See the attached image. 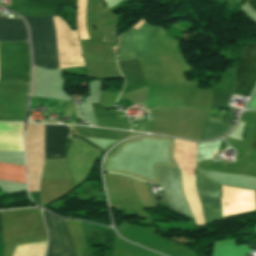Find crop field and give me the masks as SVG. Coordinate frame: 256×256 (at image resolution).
<instances>
[{"label": "crop field", "instance_id": "obj_1", "mask_svg": "<svg viewBox=\"0 0 256 256\" xmlns=\"http://www.w3.org/2000/svg\"><path fill=\"white\" fill-rule=\"evenodd\" d=\"M29 26L33 64L46 69H63L68 66H84L77 35L69 31L65 22L53 17L24 18Z\"/></svg>", "mask_w": 256, "mask_h": 256}, {"label": "crop field", "instance_id": "obj_2", "mask_svg": "<svg viewBox=\"0 0 256 256\" xmlns=\"http://www.w3.org/2000/svg\"><path fill=\"white\" fill-rule=\"evenodd\" d=\"M28 40L24 21L0 17V41ZM28 42H0V80L30 82Z\"/></svg>", "mask_w": 256, "mask_h": 256}, {"label": "crop field", "instance_id": "obj_3", "mask_svg": "<svg viewBox=\"0 0 256 256\" xmlns=\"http://www.w3.org/2000/svg\"><path fill=\"white\" fill-rule=\"evenodd\" d=\"M196 187L202 203L204 220L209 221L223 216L237 214L255 207V192L223 186L222 198L219 197L221 186L207 180L197 172Z\"/></svg>", "mask_w": 256, "mask_h": 256}, {"label": "crop field", "instance_id": "obj_4", "mask_svg": "<svg viewBox=\"0 0 256 256\" xmlns=\"http://www.w3.org/2000/svg\"><path fill=\"white\" fill-rule=\"evenodd\" d=\"M143 22V20L138 22L132 28V30L137 31ZM159 28L160 27H152L144 23L135 35V31L132 30L122 34L119 38V60L135 58L137 56L144 57L148 55H154V52L151 48V42ZM130 40L137 56L132 48Z\"/></svg>", "mask_w": 256, "mask_h": 256}, {"label": "crop field", "instance_id": "obj_5", "mask_svg": "<svg viewBox=\"0 0 256 256\" xmlns=\"http://www.w3.org/2000/svg\"><path fill=\"white\" fill-rule=\"evenodd\" d=\"M157 169L170 210L193 218L181 185L179 169L163 167H157Z\"/></svg>", "mask_w": 256, "mask_h": 256}, {"label": "crop field", "instance_id": "obj_6", "mask_svg": "<svg viewBox=\"0 0 256 256\" xmlns=\"http://www.w3.org/2000/svg\"><path fill=\"white\" fill-rule=\"evenodd\" d=\"M49 234L46 256H74L64 219L42 211Z\"/></svg>", "mask_w": 256, "mask_h": 256}, {"label": "crop field", "instance_id": "obj_7", "mask_svg": "<svg viewBox=\"0 0 256 256\" xmlns=\"http://www.w3.org/2000/svg\"><path fill=\"white\" fill-rule=\"evenodd\" d=\"M240 63H236L235 95L248 97L256 80V42L247 45L241 53Z\"/></svg>", "mask_w": 256, "mask_h": 256}, {"label": "crop field", "instance_id": "obj_8", "mask_svg": "<svg viewBox=\"0 0 256 256\" xmlns=\"http://www.w3.org/2000/svg\"><path fill=\"white\" fill-rule=\"evenodd\" d=\"M59 5L75 6V0H12L11 9L22 17L57 16Z\"/></svg>", "mask_w": 256, "mask_h": 256}, {"label": "crop field", "instance_id": "obj_9", "mask_svg": "<svg viewBox=\"0 0 256 256\" xmlns=\"http://www.w3.org/2000/svg\"><path fill=\"white\" fill-rule=\"evenodd\" d=\"M69 133L67 126L45 125V159L65 157L64 141Z\"/></svg>", "mask_w": 256, "mask_h": 256}, {"label": "crop field", "instance_id": "obj_10", "mask_svg": "<svg viewBox=\"0 0 256 256\" xmlns=\"http://www.w3.org/2000/svg\"><path fill=\"white\" fill-rule=\"evenodd\" d=\"M75 131L83 136L119 140L132 135L129 131L99 129L76 126Z\"/></svg>", "mask_w": 256, "mask_h": 256}, {"label": "crop field", "instance_id": "obj_11", "mask_svg": "<svg viewBox=\"0 0 256 256\" xmlns=\"http://www.w3.org/2000/svg\"><path fill=\"white\" fill-rule=\"evenodd\" d=\"M232 126L233 125L209 118L206 123L202 141L222 136L231 130Z\"/></svg>", "mask_w": 256, "mask_h": 256}, {"label": "crop field", "instance_id": "obj_12", "mask_svg": "<svg viewBox=\"0 0 256 256\" xmlns=\"http://www.w3.org/2000/svg\"><path fill=\"white\" fill-rule=\"evenodd\" d=\"M220 141H216V142H212V143L199 144L198 159L197 160H203V159L211 158L213 151H215V152L217 151ZM215 152L213 154H216Z\"/></svg>", "mask_w": 256, "mask_h": 256}, {"label": "crop field", "instance_id": "obj_13", "mask_svg": "<svg viewBox=\"0 0 256 256\" xmlns=\"http://www.w3.org/2000/svg\"><path fill=\"white\" fill-rule=\"evenodd\" d=\"M247 3L256 11V0H248Z\"/></svg>", "mask_w": 256, "mask_h": 256}, {"label": "crop field", "instance_id": "obj_14", "mask_svg": "<svg viewBox=\"0 0 256 256\" xmlns=\"http://www.w3.org/2000/svg\"><path fill=\"white\" fill-rule=\"evenodd\" d=\"M247 248L256 250V241L250 243Z\"/></svg>", "mask_w": 256, "mask_h": 256}, {"label": "crop field", "instance_id": "obj_15", "mask_svg": "<svg viewBox=\"0 0 256 256\" xmlns=\"http://www.w3.org/2000/svg\"><path fill=\"white\" fill-rule=\"evenodd\" d=\"M251 147L256 149V135L254 137V140H253V143H252Z\"/></svg>", "mask_w": 256, "mask_h": 256}, {"label": "crop field", "instance_id": "obj_16", "mask_svg": "<svg viewBox=\"0 0 256 256\" xmlns=\"http://www.w3.org/2000/svg\"><path fill=\"white\" fill-rule=\"evenodd\" d=\"M43 121H53V120H43ZM53 122H55V121H53Z\"/></svg>", "mask_w": 256, "mask_h": 256}, {"label": "crop field", "instance_id": "obj_17", "mask_svg": "<svg viewBox=\"0 0 256 256\" xmlns=\"http://www.w3.org/2000/svg\"><path fill=\"white\" fill-rule=\"evenodd\" d=\"M0 232H2V230H1V224H0Z\"/></svg>", "mask_w": 256, "mask_h": 256}, {"label": "crop field", "instance_id": "obj_18", "mask_svg": "<svg viewBox=\"0 0 256 256\" xmlns=\"http://www.w3.org/2000/svg\"><path fill=\"white\" fill-rule=\"evenodd\" d=\"M152 119V118H151Z\"/></svg>", "mask_w": 256, "mask_h": 256}]
</instances>
